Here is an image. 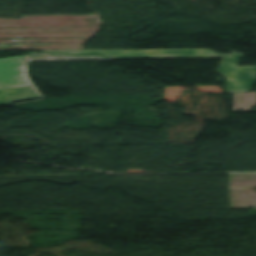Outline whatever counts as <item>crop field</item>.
<instances>
[{
	"label": "crop field",
	"instance_id": "crop-field-1",
	"mask_svg": "<svg viewBox=\"0 0 256 256\" xmlns=\"http://www.w3.org/2000/svg\"><path fill=\"white\" fill-rule=\"evenodd\" d=\"M69 55H100L115 59L224 58L217 70L229 78L227 93L252 90L256 66L236 67L242 53L220 54L210 49L44 51Z\"/></svg>",
	"mask_w": 256,
	"mask_h": 256
},
{
	"label": "crop field",
	"instance_id": "crop-field-2",
	"mask_svg": "<svg viewBox=\"0 0 256 256\" xmlns=\"http://www.w3.org/2000/svg\"><path fill=\"white\" fill-rule=\"evenodd\" d=\"M30 85L23 56L0 59V90Z\"/></svg>",
	"mask_w": 256,
	"mask_h": 256
},
{
	"label": "crop field",
	"instance_id": "crop-field-3",
	"mask_svg": "<svg viewBox=\"0 0 256 256\" xmlns=\"http://www.w3.org/2000/svg\"><path fill=\"white\" fill-rule=\"evenodd\" d=\"M37 98H41V96L33 86L0 91V105Z\"/></svg>",
	"mask_w": 256,
	"mask_h": 256
},
{
	"label": "crop field",
	"instance_id": "crop-field-4",
	"mask_svg": "<svg viewBox=\"0 0 256 256\" xmlns=\"http://www.w3.org/2000/svg\"><path fill=\"white\" fill-rule=\"evenodd\" d=\"M26 60H64V59H107L100 56H78L72 57L67 55H49L45 53H31L26 55Z\"/></svg>",
	"mask_w": 256,
	"mask_h": 256
}]
</instances>
